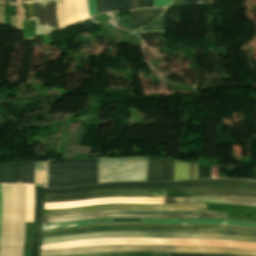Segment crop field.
Instances as JSON below:
<instances>
[{
  "label": "crop field",
  "instance_id": "92a150f3",
  "mask_svg": "<svg viewBox=\"0 0 256 256\" xmlns=\"http://www.w3.org/2000/svg\"><path fill=\"white\" fill-rule=\"evenodd\" d=\"M160 181H172V161L160 159Z\"/></svg>",
  "mask_w": 256,
  "mask_h": 256
},
{
  "label": "crop field",
  "instance_id": "28ad6ade",
  "mask_svg": "<svg viewBox=\"0 0 256 256\" xmlns=\"http://www.w3.org/2000/svg\"><path fill=\"white\" fill-rule=\"evenodd\" d=\"M166 190L102 191L69 195L44 196V203L63 202L103 197H165Z\"/></svg>",
  "mask_w": 256,
  "mask_h": 256
},
{
  "label": "crop field",
  "instance_id": "bc2a9ffb",
  "mask_svg": "<svg viewBox=\"0 0 256 256\" xmlns=\"http://www.w3.org/2000/svg\"><path fill=\"white\" fill-rule=\"evenodd\" d=\"M47 161L34 162L33 183L46 186Z\"/></svg>",
  "mask_w": 256,
  "mask_h": 256
},
{
  "label": "crop field",
  "instance_id": "bd1437ed",
  "mask_svg": "<svg viewBox=\"0 0 256 256\" xmlns=\"http://www.w3.org/2000/svg\"><path fill=\"white\" fill-rule=\"evenodd\" d=\"M103 12L111 11V0H102Z\"/></svg>",
  "mask_w": 256,
  "mask_h": 256
},
{
  "label": "crop field",
  "instance_id": "d9b57169",
  "mask_svg": "<svg viewBox=\"0 0 256 256\" xmlns=\"http://www.w3.org/2000/svg\"><path fill=\"white\" fill-rule=\"evenodd\" d=\"M66 256H169V253L156 252H110V253H91L82 255H66ZM170 256H222L212 254H170Z\"/></svg>",
  "mask_w": 256,
  "mask_h": 256
},
{
  "label": "crop field",
  "instance_id": "730fd06b",
  "mask_svg": "<svg viewBox=\"0 0 256 256\" xmlns=\"http://www.w3.org/2000/svg\"><path fill=\"white\" fill-rule=\"evenodd\" d=\"M112 8L115 10H129V0H112Z\"/></svg>",
  "mask_w": 256,
  "mask_h": 256
},
{
  "label": "crop field",
  "instance_id": "22f410ed",
  "mask_svg": "<svg viewBox=\"0 0 256 256\" xmlns=\"http://www.w3.org/2000/svg\"><path fill=\"white\" fill-rule=\"evenodd\" d=\"M42 213H43V188L35 186L34 239H33L31 256H39L40 254Z\"/></svg>",
  "mask_w": 256,
  "mask_h": 256
},
{
  "label": "crop field",
  "instance_id": "d3111659",
  "mask_svg": "<svg viewBox=\"0 0 256 256\" xmlns=\"http://www.w3.org/2000/svg\"><path fill=\"white\" fill-rule=\"evenodd\" d=\"M90 16L97 14L96 0H88Z\"/></svg>",
  "mask_w": 256,
  "mask_h": 256
},
{
  "label": "crop field",
  "instance_id": "f4fd0767",
  "mask_svg": "<svg viewBox=\"0 0 256 256\" xmlns=\"http://www.w3.org/2000/svg\"><path fill=\"white\" fill-rule=\"evenodd\" d=\"M110 251H156V252H201L232 254L241 256H256L254 250L213 248V247H183V246H134V245H110V246H90L59 250L41 251L40 256L47 255H66L82 254L91 252H110Z\"/></svg>",
  "mask_w": 256,
  "mask_h": 256
},
{
  "label": "crop field",
  "instance_id": "e1f06a70",
  "mask_svg": "<svg viewBox=\"0 0 256 256\" xmlns=\"http://www.w3.org/2000/svg\"><path fill=\"white\" fill-rule=\"evenodd\" d=\"M10 6H16L15 0H8Z\"/></svg>",
  "mask_w": 256,
  "mask_h": 256
},
{
  "label": "crop field",
  "instance_id": "3316defc",
  "mask_svg": "<svg viewBox=\"0 0 256 256\" xmlns=\"http://www.w3.org/2000/svg\"><path fill=\"white\" fill-rule=\"evenodd\" d=\"M103 225H128V224H103ZM103 225H95V226H103ZM128 226H148V225H128ZM128 226H104V227H94V226H88V227H94V228H86V227H80V228H86V229H77V230H68V229H62V230H68V231H60V230H49V231H60V232H49V231H43V232H49V233H43L42 237H48V236H62V235H74V234H80V233H87V232H95V231H101V230H149V229H157V230H211V231H234V232H243V233H253L256 234V230L252 228H238V227H218V226H149V227H211V228H238V229H251V230H237V229H211V228H148V227H128ZM150 231H156V230H150ZM211 231H180V232H211ZM234 232H219V233H234ZM243 233H234V234H243ZM243 235H252V234H243ZM256 236V235H252Z\"/></svg>",
  "mask_w": 256,
  "mask_h": 256
},
{
  "label": "crop field",
  "instance_id": "d8731c3e",
  "mask_svg": "<svg viewBox=\"0 0 256 256\" xmlns=\"http://www.w3.org/2000/svg\"><path fill=\"white\" fill-rule=\"evenodd\" d=\"M226 213L213 211L163 212V211H97L72 215L43 217V224L76 221L102 217H158V218H222Z\"/></svg>",
  "mask_w": 256,
  "mask_h": 256
},
{
  "label": "crop field",
  "instance_id": "eef30255",
  "mask_svg": "<svg viewBox=\"0 0 256 256\" xmlns=\"http://www.w3.org/2000/svg\"><path fill=\"white\" fill-rule=\"evenodd\" d=\"M23 248H5L0 250V256H21Z\"/></svg>",
  "mask_w": 256,
  "mask_h": 256
},
{
  "label": "crop field",
  "instance_id": "750c4746",
  "mask_svg": "<svg viewBox=\"0 0 256 256\" xmlns=\"http://www.w3.org/2000/svg\"><path fill=\"white\" fill-rule=\"evenodd\" d=\"M173 0H154V7H164Z\"/></svg>",
  "mask_w": 256,
  "mask_h": 256
},
{
  "label": "crop field",
  "instance_id": "5866460e",
  "mask_svg": "<svg viewBox=\"0 0 256 256\" xmlns=\"http://www.w3.org/2000/svg\"><path fill=\"white\" fill-rule=\"evenodd\" d=\"M131 9L136 8V0H130Z\"/></svg>",
  "mask_w": 256,
  "mask_h": 256
},
{
  "label": "crop field",
  "instance_id": "a9b5d70f",
  "mask_svg": "<svg viewBox=\"0 0 256 256\" xmlns=\"http://www.w3.org/2000/svg\"><path fill=\"white\" fill-rule=\"evenodd\" d=\"M147 181H159V159L149 158Z\"/></svg>",
  "mask_w": 256,
  "mask_h": 256
},
{
  "label": "crop field",
  "instance_id": "0bd39190",
  "mask_svg": "<svg viewBox=\"0 0 256 256\" xmlns=\"http://www.w3.org/2000/svg\"><path fill=\"white\" fill-rule=\"evenodd\" d=\"M203 4H208L209 0H202Z\"/></svg>",
  "mask_w": 256,
  "mask_h": 256
},
{
  "label": "crop field",
  "instance_id": "120bbe31",
  "mask_svg": "<svg viewBox=\"0 0 256 256\" xmlns=\"http://www.w3.org/2000/svg\"><path fill=\"white\" fill-rule=\"evenodd\" d=\"M186 4H202L201 0H186Z\"/></svg>",
  "mask_w": 256,
  "mask_h": 256
},
{
  "label": "crop field",
  "instance_id": "b80d0937",
  "mask_svg": "<svg viewBox=\"0 0 256 256\" xmlns=\"http://www.w3.org/2000/svg\"><path fill=\"white\" fill-rule=\"evenodd\" d=\"M0 5H1V2H0Z\"/></svg>",
  "mask_w": 256,
  "mask_h": 256
},
{
  "label": "crop field",
  "instance_id": "cbeb9de0",
  "mask_svg": "<svg viewBox=\"0 0 256 256\" xmlns=\"http://www.w3.org/2000/svg\"><path fill=\"white\" fill-rule=\"evenodd\" d=\"M192 196H230L256 199V192L241 191V190H205V189H191L186 190ZM189 194V195H190Z\"/></svg>",
  "mask_w": 256,
  "mask_h": 256
},
{
  "label": "crop field",
  "instance_id": "d1516ede",
  "mask_svg": "<svg viewBox=\"0 0 256 256\" xmlns=\"http://www.w3.org/2000/svg\"><path fill=\"white\" fill-rule=\"evenodd\" d=\"M38 1H41V0H38ZM33 7H34V15H35V18H38L39 25L57 28L55 0L35 2L33 3ZM38 22H37V19H35L37 34L50 31V30H56L54 28L38 26Z\"/></svg>",
  "mask_w": 256,
  "mask_h": 256
},
{
  "label": "crop field",
  "instance_id": "ac0d7876",
  "mask_svg": "<svg viewBox=\"0 0 256 256\" xmlns=\"http://www.w3.org/2000/svg\"><path fill=\"white\" fill-rule=\"evenodd\" d=\"M192 200H229V201H243L256 203V200L243 198H229V197H185V198H166L167 202L178 201H192ZM229 201H192V202H178V203H222L232 205H247L256 206V204L243 202H229ZM171 204V203H166ZM97 210H165V211H192V210H206V204H103L86 207H75L65 209H47L44 210L43 216L72 214Z\"/></svg>",
  "mask_w": 256,
  "mask_h": 256
},
{
  "label": "crop field",
  "instance_id": "214f88e0",
  "mask_svg": "<svg viewBox=\"0 0 256 256\" xmlns=\"http://www.w3.org/2000/svg\"><path fill=\"white\" fill-rule=\"evenodd\" d=\"M26 191H27L26 222H33L34 186L26 184Z\"/></svg>",
  "mask_w": 256,
  "mask_h": 256
},
{
  "label": "crop field",
  "instance_id": "dafd665d",
  "mask_svg": "<svg viewBox=\"0 0 256 256\" xmlns=\"http://www.w3.org/2000/svg\"><path fill=\"white\" fill-rule=\"evenodd\" d=\"M33 162L21 161V182L32 183Z\"/></svg>",
  "mask_w": 256,
  "mask_h": 256
},
{
  "label": "crop field",
  "instance_id": "8a807250",
  "mask_svg": "<svg viewBox=\"0 0 256 256\" xmlns=\"http://www.w3.org/2000/svg\"><path fill=\"white\" fill-rule=\"evenodd\" d=\"M183 188H224L256 190V182L243 180H192L166 183H106L82 187L45 189L44 195L69 194L88 191L117 189H183Z\"/></svg>",
  "mask_w": 256,
  "mask_h": 256
},
{
  "label": "crop field",
  "instance_id": "028f5c9d",
  "mask_svg": "<svg viewBox=\"0 0 256 256\" xmlns=\"http://www.w3.org/2000/svg\"><path fill=\"white\" fill-rule=\"evenodd\" d=\"M30 251H31V249L23 250V255L22 256H30Z\"/></svg>",
  "mask_w": 256,
  "mask_h": 256
},
{
  "label": "crop field",
  "instance_id": "5a996713",
  "mask_svg": "<svg viewBox=\"0 0 256 256\" xmlns=\"http://www.w3.org/2000/svg\"><path fill=\"white\" fill-rule=\"evenodd\" d=\"M113 219H139V218H102V219H92L60 224H49L43 225L42 230L49 229H62L79 227L86 225H94L95 222L99 221H113ZM114 222H141V220H114ZM142 223L150 224H201V225H233V226H243L256 228V223L241 222V221H228V220H213V219H142ZM103 224V223H100ZM128 224H138V223H128Z\"/></svg>",
  "mask_w": 256,
  "mask_h": 256
},
{
  "label": "crop field",
  "instance_id": "1d83c4d3",
  "mask_svg": "<svg viewBox=\"0 0 256 256\" xmlns=\"http://www.w3.org/2000/svg\"><path fill=\"white\" fill-rule=\"evenodd\" d=\"M1 220H2V197H1V184H0V234H1Z\"/></svg>",
  "mask_w": 256,
  "mask_h": 256
},
{
  "label": "crop field",
  "instance_id": "00972430",
  "mask_svg": "<svg viewBox=\"0 0 256 256\" xmlns=\"http://www.w3.org/2000/svg\"><path fill=\"white\" fill-rule=\"evenodd\" d=\"M166 25V10L152 23L141 28V31L165 30Z\"/></svg>",
  "mask_w": 256,
  "mask_h": 256
},
{
  "label": "crop field",
  "instance_id": "4a817a6b",
  "mask_svg": "<svg viewBox=\"0 0 256 256\" xmlns=\"http://www.w3.org/2000/svg\"><path fill=\"white\" fill-rule=\"evenodd\" d=\"M20 180V161L0 164V183Z\"/></svg>",
  "mask_w": 256,
  "mask_h": 256
},
{
  "label": "crop field",
  "instance_id": "412701ff",
  "mask_svg": "<svg viewBox=\"0 0 256 256\" xmlns=\"http://www.w3.org/2000/svg\"><path fill=\"white\" fill-rule=\"evenodd\" d=\"M116 237H143V238H179V239H220L256 242V237L219 234V233H178V232H131V231H113V232H96L74 236L49 237L42 238V244L60 243L92 238H116Z\"/></svg>",
  "mask_w": 256,
  "mask_h": 256
},
{
  "label": "crop field",
  "instance_id": "dd49c442",
  "mask_svg": "<svg viewBox=\"0 0 256 256\" xmlns=\"http://www.w3.org/2000/svg\"><path fill=\"white\" fill-rule=\"evenodd\" d=\"M97 183V159L70 162L49 161L48 187H67Z\"/></svg>",
  "mask_w": 256,
  "mask_h": 256
},
{
  "label": "crop field",
  "instance_id": "ae1a2a85",
  "mask_svg": "<svg viewBox=\"0 0 256 256\" xmlns=\"http://www.w3.org/2000/svg\"><path fill=\"white\" fill-rule=\"evenodd\" d=\"M143 7H153V0H137V9Z\"/></svg>",
  "mask_w": 256,
  "mask_h": 256
},
{
  "label": "crop field",
  "instance_id": "733c2abd",
  "mask_svg": "<svg viewBox=\"0 0 256 256\" xmlns=\"http://www.w3.org/2000/svg\"><path fill=\"white\" fill-rule=\"evenodd\" d=\"M197 163L174 160V180L197 179Z\"/></svg>",
  "mask_w": 256,
  "mask_h": 256
},
{
  "label": "crop field",
  "instance_id": "e52e79f7",
  "mask_svg": "<svg viewBox=\"0 0 256 256\" xmlns=\"http://www.w3.org/2000/svg\"><path fill=\"white\" fill-rule=\"evenodd\" d=\"M147 163L142 156L98 158V183L146 181Z\"/></svg>",
  "mask_w": 256,
  "mask_h": 256
},
{
  "label": "crop field",
  "instance_id": "d32e631a",
  "mask_svg": "<svg viewBox=\"0 0 256 256\" xmlns=\"http://www.w3.org/2000/svg\"><path fill=\"white\" fill-rule=\"evenodd\" d=\"M97 9H98V14L102 12L101 0H97Z\"/></svg>",
  "mask_w": 256,
  "mask_h": 256
},
{
  "label": "crop field",
  "instance_id": "5142ce71",
  "mask_svg": "<svg viewBox=\"0 0 256 256\" xmlns=\"http://www.w3.org/2000/svg\"><path fill=\"white\" fill-rule=\"evenodd\" d=\"M164 8L139 9L130 11V27H142L157 17Z\"/></svg>",
  "mask_w": 256,
  "mask_h": 256
},
{
  "label": "crop field",
  "instance_id": "34b2d1b8",
  "mask_svg": "<svg viewBox=\"0 0 256 256\" xmlns=\"http://www.w3.org/2000/svg\"><path fill=\"white\" fill-rule=\"evenodd\" d=\"M3 224L1 247L23 246L25 184H2Z\"/></svg>",
  "mask_w": 256,
  "mask_h": 256
},
{
  "label": "crop field",
  "instance_id": "4177f3b9",
  "mask_svg": "<svg viewBox=\"0 0 256 256\" xmlns=\"http://www.w3.org/2000/svg\"><path fill=\"white\" fill-rule=\"evenodd\" d=\"M23 10V20H34L32 0H21Z\"/></svg>",
  "mask_w": 256,
  "mask_h": 256
}]
</instances>
